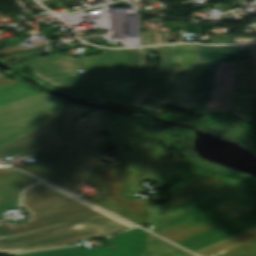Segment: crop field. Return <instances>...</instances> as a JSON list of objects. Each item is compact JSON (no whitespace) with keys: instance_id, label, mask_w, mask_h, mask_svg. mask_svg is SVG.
Listing matches in <instances>:
<instances>
[{"instance_id":"8a807250","label":"crop field","mask_w":256,"mask_h":256,"mask_svg":"<svg viewBox=\"0 0 256 256\" xmlns=\"http://www.w3.org/2000/svg\"><path fill=\"white\" fill-rule=\"evenodd\" d=\"M22 208L30 213L28 222L16 227L0 222V250L8 255L102 237L95 228L77 230V225L106 226V236L134 227L44 182L24 193Z\"/></svg>"},{"instance_id":"ac0d7876","label":"crop field","mask_w":256,"mask_h":256,"mask_svg":"<svg viewBox=\"0 0 256 256\" xmlns=\"http://www.w3.org/2000/svg\"><path fill=\"white\" fill-rule=\"evenodd\" d=\"M85 75L78 73L80 58L51 55L14 64L29 67L32 74L61 89L103 103L131 107L127 53L104 51V56L84 57Z\"/></svg>"},{"instance_id":"34b2d1b8","label":"crop field","mask_w":256,"mask_h":256,"mask_svg":"<svg viewBox=\"0 0 256 256\" xmlns=\"http://www.w3.org/2000/svg\"><path fill=\"white\" fill-rule=\"evenodd\" d=\"M97 117L98 112L93 111L60 132L67 151L23 170L73 193L107 149Z\"/></svg>"},{"instance_id":"412701ff","label":"crop field","mask_w":256,"mask_h":256,"mask_svg":"<svg viewBox=\"0 0 256 256\" xmlns=\"http://www.w3.org/2000/svg\"><path fill=\"white\" fill-rule=\"evenodd\" d=\"M252 60L249 46L196 45L193 115L232 110L235 61Z\"/></svg>"},{"instance_id":"f4fd0767","label":"crop field","mask_w":256,"mask_h":256,"mask_svg":"<svg viewBox=\"0 0 256 256\" xmlns=\"http://www.w3.org/2000/svg\"><path fill=\"white\" fill-rule=\"evenodd\" d=\"M194 57L195 45H172L162 87L139 107L157 113L163 111L166 104L193 110Z\"/></svg>"},{"instance_id":"dd49c442","label":"crop field","mask_w":256,"mask_h":256,"mask_svg":"<svg viewBox=\"0 0 256 256\" xmlns=\"http://www.w3.org/2000/svg\"><path fill=\"white\" fill-rule=\"evenodd\" d=\"M129 172L123 164L114 167L97 165L85 182L106 193L90 201L139 225L147 224L149 199H127L124 196Z\"/></svg>"},{"instance_id":"e52e79f7","label":"crop field","mask_w":256,"mask_h":256,"mask_svg":"<svg viewBox=\"0 0 256 256\" xmlns=\"http://www.w3.org/2000/svg\"><path fill=\"white\" fill-rule=\"evenodd\" d=\"M66 103L42 94L0 107V148L28 136Z\"/></svg>"},{"instance_id":"d8731c3e","label":"crop field","mask_w":256,"mask_h":256,"mask_svg":"<svg viewBox=\"0 0 256 256\" xmlns=\"http://www.w3.org/2000/svg\"><path fill=\"white\" fill-rule=\"evenodd\" d=\"M90 110L67 103L28 137L1 148L0 159L19 155L40 160L65 149L63 139L57 133Z\"/></svg>"},{"instance_id":"5a996713","label":"crop field","mask_w":256,"mask_h":256,"mask_svg":"<svg viewBox=\"0 0 256 256\" xmlns=\"http://www.w3.org/2000/svg\"><path fill=\"white\" fill-rule=\"evenodd\" d=\"M169 48L170 46L153 48L162 50L161 63L157 69H154V65H147L144 48L128 50L132 107H138L161 87Z\"/></svg>"},{"instance_id":"3316defc","label":"crop field","mask_w":256,"mask_h":256,"mask_svg":"<svg viewBox=\"0 0 256 256\" xmlns=\"http://www.w3.org/2000/svg\"><path fill=\"white\" fill-rule=\"evenodd\" d=\"M256 209V197L249 195L158 235L178 243L213 226Z\"/></svg>"},{"instance_id":"28ad6ade","label":"crop field","mask_w":256,"mask_h":256,"mask_svg":"<svg viewBox=\"0 0 256 256\" xmlns=\"http://www.w3.org/2000/svg\"><path fill=\"white\" fill-rule=\"evenodd\" d=\"M148 232L138 228L109 238L115 246L79 250L78 247L46 250L16 256H141Z\"/></svg>"},{"instance_id":"d1516ede","label":"crop field","mask_w":256,"mask_h":256,"mask_svg":"<svg viewBox=\"0 0 256 256\" xmlns=\"http://www.w3.org/2000/svg\"><path fill=\"white\" fill-rule=\"evenodd\" d=\"M249 213L213 227L178 244L195 252L199 249L254 227L256 226V217Z\"/></svg>"},{"instance_id":"22f410ed","label":"crop field","mask_w":256,"mask_h":256,"mask_svg":"<svg viewBox=\"0 0 256 256\" xmlns=\"http://www.w3.org/2000/svg\"><path fill=\"white\" fill-rule=\"evenodd\" d=\"M38 179L21 171L0 178V214L6 209H18L21 192L37 183ZM1 219V217H0Z\"/></svg>"},{"instance_id":"cbeb9de0","label":"crop field","mask_w":256,"mask_h":256,"mask_svg":"<svg viewBox=\"0 0 256 256\" xmlns=\"http://www.w3.org/2000/svg\"><path fill=\"white\" fill-rule=\"evenodd\" d=\"M252 61L236 62V85L234 103H233V115L242 119H250L251 122V73L250 66ZM245 92V93H243ZM250 96H247V95ZM241 114V116H238Z\"/></svg>"},{"instance_id":"5142ce71","label":"crop field","mask_w":256,"mask_h":256,"mask_svg":"<svg viewBox=\"0 0 256 256\" xmlns=\"http://www.w3.org/2000/svg\"><path fill=\"white\" fill-rule=\"evenodd\" d=\"M198 207V203L193 193L183 194L179 197L169 200L163 206H152L151 221L152 224H155Z\"/></svg>"},{"instance_id":"d9b57169","label":"crop field","mask_w":256,"mask_h":256,"mask_svg":"<svg viewBox=\"0 0 256 256\" xmlns=\"http://www.w3.org/2000/svg\"><path fill=\"white\" fill-rule=\"evenodd\" d=\"M251 193H252L251 189L248 188V189H246L244 191H241V192L236 193L234 195L228 196L226 198H223L221 200H218L216 202H213L211 204H208V205L203 206L201 208H198L196 210H193V211H190L188 213L182 214L180 216H177L175 218L169 219L167 221L155 224V225L152 226V231L151 232H153L155 234H158V233H160L162 231H165V230H167L169 228H172V227H174L176 225H179V224H181L183 222H186V221H188L190 219H193V218H195L197 216H200V215H202L204 213H207V212H209L211 210H214V209L219 208V207H221L223 205H226V204H228L230 202H233V201H235L237 199L245 197V196H247V195H249Z\"/></svg>"},{"instance_id":"733c2abd","label":"crop field","mask_w":256,"mask_h":256,"mask_svg":"<svg viewBox=\"0 0 256 256\" xmlns=\"http://www.w3.org/2000/svg\"><path fill=\"white\" fill-rule=\"evenodd\" d=\"M248 187V184L238 179H234L200 189L194 193L201 207Z\"/></svg>"},{"instance_id":"4a817a6b","label":"crop field","mask_w":256,"mask_h":256,"mask_svg":"<svg viewBox=\"0 0 256 256\" xmlns=\"http://www.w3.org/2000/svg\"><path fill=\"white\" fill-rule=\"evenodd\" d=\"M256 238V227L225 239L195 253L201 256H216Z\"/></svg>"},{"instance_id":"bc2a9ffb","label":"crop field","mask_w":256,"mask_h":256,"mask_svg":"<svg viewBox=\"0 0 256 256\" xmlns=\"http://www.w3.org/2000/svg\"><path fill=\"white\" fill-rule=\"evenodd\" d=\"M228 177L204 173L194 178L188 179L171 187H168L170 199L183 193L191 192L194 189L227 179Z\"/></svg>"},{"instance_id":"214f88e0","label":"crop field","mask_w":256,"mask_h":256,"mask_svg":"<svg viewBox=\"0 0 256 256\" xmlns=\"http://www.w3.org/2000/svg\"><path fill=\"white\" fill-rule=\"evenodd\" d=\"M190 255L192 254L152 234H149L147 250L143 253L142 256H190Z\"/></svg>"},{"instance_id":"92a150f3","label":"crop field","mask_w":256,"mask_h":256,"mask_svg":"<svg viewBox=\"0 0 256 256\" xmlns=\"http://www.w3.org/2000/svg\"><path fill=\"white\" fill-rule=\"evenodd\" d=\"M39 94L42 93L26 86L22 82L1 87L0 106H4Z\"/></svg>"},{"instance_id":"dafd665d","label":"crop field","mask_w":256,"mask_h":256,"mask_svg":"<svg viewBox=\"0 0 256 256\" xmlns=\"http://www.w3.org/2000/svg\"><path fill=\"white\" fill-rule=\"evenodd\" d=\"M219 256H256V240L241 245Z\"/></svg>"},{"instance_id":"00972430","label":"crop field","mask_w":256,"mask_h":256,"mask_svg":"<svg viewBox=\"0 0 256 256\" xmlns=\"http://www.w3.org/2000/svg\"><path fill=\"white\" fill-rule=\"evenodd\" d=\"M252 58H253V88H254V96L256 97V45L250 46Z\"/></svg>"},{"instance_id":"a9b5d70f","label":"crop field","mask_w":256,"mask_h":256,"mask_svg":"<svg viewBox=\"0 0 256 256\" xmlns=\"http://www.w3.org/2000/svg\"><path fill=\"white\" fill-rule=\"evenodd\" d=\"M144 45L156 44L155 32H142Z\"/></svg>"},{"instance_id":"4177f3b9","label":"crop field","mask_w":256,"mask_h":256,"mask_svg":"<svg viewBox=\"0 0 256 256\" xmlns=\"http://www.w3.org/2000/svg\"><path fill=\"white\" fill-rule=\"evenodd\" d=\"M90 227H95L102 235L103 237H105V232H106V228L105 227H99L97 225H90V226H78L76 227L77 229H82V228H90Z\"/></svg>"},{"instance_id":"730fd06b","label":"crop field","mask_w":256,"mask_h":256,"mask_svg":"<svg viewBox=\"0 0 256 256\" xmlns=\"http://www.w3.org/2000/svg\"><path fill=\"white\" fill-rule=\"evenodd\" d=\"M15 82H19V81L18 80H9V79H5L4 77H2V78H0V87L15 83Z\"/></svg>"},{"instance_id":"eef30255","label":"crop field","mask_w":256,"mask_h":256,"mask_svg":"<svg viewBox=\"0 0 256 256\" xmlns=\"http://www.w3.org/2000/svg\"><path fill=\"white\" fill-rule=\"evenodd\" d=\"M17 170H5V171H0V177L1 176H4V175H7L9 173H12V172H15Z\"/></svg>"},{"instance_id":"ae1a2a85","label":"crop field","mask_w":256,"mask_h":256,"mask_svg":"<svg viewBox=\"0 0 256 256\" xmlns=\"http://www.w3.org/2000/svg\"><path fill=\"white\" fill-rule=\"evenodd\" d=\"M0 254H4V255H6L5 253H3V252H1V251H0Z\"/></svg>"},{"instance_id":"d3111659","label":"crop field","mask_w":256,"mask_h":256,"mask_svg":"<svg viewBox=\"0 0 256 256\" xmlns=\"http://www.w3.org/2000/svg\"><path fill=\"white\" fill-rule=\"evenodd\" d=\"M194 256V255H193Z\"/></svg>"}]
</instances>
